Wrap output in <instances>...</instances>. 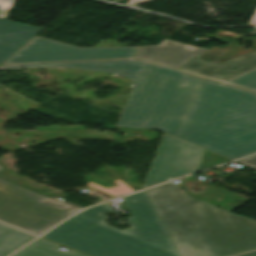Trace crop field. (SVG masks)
Returning a JSON list of instances; mask_svg holds the SVG:
<instances>
[{"label":"crop field","mask_w":256,"mask_h":256,"mask_svg":"<svg viewBox=\"0 0 256 256\" xmlns=\"http://www.w3.org/2000/svg\"><path fill=\"white\" fill-rule=\"evenodd\" d=\"M117 126L157 129L234 159L256 152V94L145 62Z\"/></svg>","instance_id":"obj_1"},{"label":"crop field","mask_w":256,"mask_h":256,"mask_svg":"<svg viewBox=\"0 0 256 256\" xmlns=\"http://www.w3.org/2000/svg\"><path fill=\"white\" fill-rule=\"evenodd\" d=\"M132 217L121 231L105 224L109 203L81 212L44 237L90 256H180L145 191L124 198ZM43 237V238H44Z\"/></svg>","instance_id":"obj_2"},{"label":"crop field","mask_w":256,"mask_h":256,"mask_svg":"<svg viewBox=\"0 0 256 256\" xmlns=\"http://www.w3.org/2000/svg\"><path fill=\"white\" fill-rule=\"evenodd\" d=\"M146 192L181 256H215L190 206L196 200L179 193L173 182Z\"/></svg>","instance_id":"obj_3"},{"label":"crop field","mask_w":256,"mask_h":256,"mask_svg":"<svg viewBox=\"0 0 256 256\" xmlns=\"http://www.w3.org/2000/svg\"><path fill=\"white\" fill-rule=\"evenodd\" d=\"M4 167L0 166V170ZM0 179V221L36 235L78 211Z\"/></svg>","instance_id":"obj_4"},{"label":"crop field","mask_w":256,"mask_h":256,"mask_svg":"<svg viewBox=\"0 0 256 256\" xmlns=\"http://www.w3.org/2000/svg\"><path fill=\"white\" fill-rule=\"evenodd\" d=\"M216 256L256 248V222L202 202L191 205Z\"/></svg>","instance_id":"obj_5"},{"label":"crop field","mask_w":256,"mask_h":256,"mask_svg":"<svg viewBox=\"0 0 256 256\" xmlns=\"http://www.w3.org/2000/svg\"><path fill=\"white\" fill-rule=\"evenodd\" d=\"M137 48H80L35 36L3 64L134 58Z\"/></svg>","instance_id":"obj_6"},{"label":"crop field","mask_w":256,"mask_h":256,"mask_svg":"<svg viewBox=\"0 0 256 256\" xmlns=\"http://www.w3.org/2000/svg\"><path fill=\"white\" fill-rule=\"evenodd\" d=\"M204 151L165 133L143 188L194 172Z\"/></svg>","instance_id":"obj_7"},{"label":"crop field","mask_w":256,"mask_h":256,"mask_svg":"<svg viewBox=\"0 0 256 256\" xmlns=\"http://www.w3.org/2000/svg\"><path fill=\"white\" fill-rule=\"evenodd\" d=\"M166 41L168 40L159 45L141 47L136 59L179 68L191 58H199L208 51L207 49L185 44H182L185 46L177 47L176 45L181 43L172 41L167 46H164Z\"/></svg>","instance_id":"obj_8"},{"label":"crop field","mask_w":256,"mask_h":256,"mask_svg":"<svg viewBox=\"0 0 256 256\" xmlns=\"http://www.w3.org/2000/svg\"><path fill=\"white\" fill-rule=\"evenodd\" d=\"M253 68H256V50L221 65L194 59L181 70L227 81Z\"/></svg>","instance_id":"obj_9"},{"label":"crop field","mask_w":256,"mask_h":256,"mask_svg":"<svg viewBox=\"0 0 256 256\" xmlns=\"http://www.w3.org/2000/svg\"><path fill=\"white\" fill-rule=\"evenodd\" d=\"M144 62L137 60H112L97 62L59 63V64H34V65H11L0 66V69L32 68L47 66H62L75 69L95 70L122 75L135 81Z\"/></svg>","instance_id":"obj_10"},{"label":"crop field","mask_w":256,"mask_h":256,"mask_svg":"<svg viewBox=\"0 0 256 256\" xmlns=\"http://www.w3.org/2000/svg\"><path fill=\"white\" fill-rule=\"evenodd\" d=\"M41 30L43 28L0 19V64L12 56Z\"/></svg>","instance_id":"obj_11"},{"label":"crop field","mask_w":256,"mask_h":256,"mask_svg":"<svg viewBox=\"0 0 256 256\" xmlns=\"http://www.w3.org/2000/svg\"><path fill=\"white\" fill-rule=\"evenodd\" d=\"M234 35H235L234 32L218 29L214 39L218 41L226 42L228 44L224 48L211 47L212 49L206 52L202 57H200V59L221 64L237 56L253 51L252 49L253 47L243 51L248 39L245 40L242 47H240L236 39L234 38ZM249 40L253 44V46L256 48V38H251ZM233 51H236V53H232Z\"/></svg>","instance_id":"obj_12"},{"label":"crop field","mask_w":256,"mask_h":256,"mask_svg":"<svg viewBox=\"0 0 256 256\" xmlns=\"http://www.w3.org/2000/svg\"><path fill=\"white\" fill-rule=\"evenodd\" d=\"M36 236L0 223V256H7Z\"/></svg>","instance_id":"obj_13"},{"label":"crop field","mask_w":256,"mask_h":256,"mask_svg":"<svg viewBox=\"0 0 256 256\" xmlns=\"http://www.w3.org/2000/svg\"><path fill=\"white\" fill-rule=\"evenodd\" d=\"M58 246L55 243L39 238L13 256H85L72 250L60 251L56 249Z\"/></svg>","instance_id":"obj_14"},{"label":"crop field","mask_w":256,"mask_h":256,"mask_svg":"<svg viewBox=\"0 0 256 256\" xmlns=\"http://www.w3.org/2000/svg\"><path fill=\"white\" fill-rule=\"evenodd\" d=\"M227 84H231L256 92V71L248 73L236 80L230 81Z\"/></svg>","instance_id":"obj_15"},{"label":"crop field","mask_w":256,"mask_h":256,"mask_svg":"<svg viewBox=\"0 0 256 256\" xmlns=\"http://www.w3.org/2000/svg\"><path fill=\"white\" fill-rule=\"evenodd\" d=\"M16 0H0V18L7 19Z\"/></svg>","instance_id":"obj_16"},{"label":"crop field","mask_w":256,"mask_h":256,"mask_svg":"<svg viewBox=\"0 0 256 256\" xmlns=\"http://www.w3.org/2000/svg\"><path fill=\"white\" fill-rule=\"evenodd\" d=\"M237 162L242 164V165H245V166L256 169V155L244 158V159H242L240 161H237Z\"/></svg>","instance_id":"obj_17"},{"label":"crop field","mask_w":256,"mask_h":256,"mask_svg":"<svg viewBox=\"0 0 256 256\" xmlns=\"http://www.w3.org/2000/svg\"><path fill=\"white\" fill-rule=\"evenodd\" d=\"M149 1H151V0H130V2L127 3L126 5L139 8V6L141 4L149 2Z\"/></svg>","instance_id":"obj_18"},{"label":"crop field","mask_w":256,"mask_h":256,"mask_svg":"<svg viewBox=\"0 0 256 256\" xmlns=\"http://www.w3.org/2000/svg\"><path fill=\"white\" fill-rule=\"evenodd\" d=\"M249 24L256 25V13H255V15L253 16V18L251 19V21H250Z\"/></svg>","instance_id":"obj_19"},{"label":"crop field","mask_w":256,"mask_h":256,"mask_svg":"<svg viewBox=\"0 0 256 256\" xmlns=\"http://www.w3.org/2000/svg\"><path fill=\"white\" fill-rule=\"evenodd\" d=\"M238 256H256V251L251 252V253H247V254H243V255H238Z\"/></svg>","instance_id":"obj_20"},{"label":"crop field","mask_w":256,"mask_h":256,"mask_svg":"<svg viewBox=\"0 0 256 256\" xmlns=\"http://www.w3.org/2000/svg\"><path fill=\"white\" fill-rule=\"evenodd\" d=\"M64 203L69 204V205L74 206V207H77V208H79V209L83 208V207H80V206H78V205L72 204V203L67 202V201H65Z\"/></svg>","instance_id":"obj_21"}]
</instances>
